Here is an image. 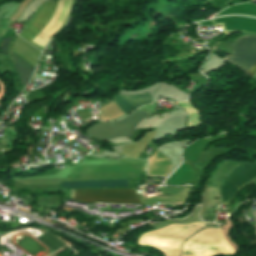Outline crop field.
I'll list each match as a JSON object with an SVG mask.
<instances>
[{
  "instance_id": "7",
  "label": "crop field",
  "mask_w": 256,
  "mask_h": 256,
  "mask_svg": "<svg viewBox=\"0 0 256 256\" xmlns=\"http://www.w3.org/2000/svg\"><path fill=\"white\" fill-rule=\"evenodd\" d=\"M61 187H128V180L64 182Z\"/></svg>"
},
{
  "instance_id": "6",
  "label": "crop field",
  "mask_w": 256,
  "mask_h": 256,
  "mask_svg": "<svg viewBox=\"0 0 256 256\" xmlns=\"http://www.w3.org/2000/svg\"><path fill=\"white\" fill-rule=\"evenodd\" d=\"M116 105L122 110L125 114L128 111L137 108L141 105H145L151 102L150 94L139 95V96H123L118 95L113 100Z\"/></svg>"
},
{
  "instance_id": "1",
  "label": "crop field",
  "mask_w": 256,
  "mask_h": 256,
  "mask_svg": "<svg viewBox=\"0 0 256 256\" xmlns=\"http://www.w3.org/2000/svg\"><path fill=\"white\" fill-rule=\"evenodd\" d=\"M147 116H148L147 114L137 110L133 114H131L130 116L124 119H121L116 122H107V123L113 126L116 130H118L124 136L131 137L133 135L135 126L139 124ZM107 123L104 122V123H98L96 125H93L89 129H87L86 132L87 134L97 139H100L102 141L115 138L118 136H123Z\"/></svg>"
},
{
  "instance_id": "2",
  "label": "crop field",
  "mask_w": 256,
  "mask_h": 256,
  "mask_svg": "<svg viewBox=\"0 0 256 256\" xmlns=\"http://www.w3.org/2000/svg\"><path fill=\"white\" fill-rule=\"evenodd\" d=\"M256 180V163L237 164L221 181L223 203H229L246 184Z\"/></svg>"
},
{
  "instance_id": "9",
  "label": "crop field",
  "mask_w": 256,
  "mask_h": 256,
  "mask_svg": "<svg viewBox=\"0 0 256 256\" xmlns=\"http://www.w3.org/2000/svg\"><path fill=\"white\" fill-rule=\"evenodd\" d=\"M10 38H5L2 40L1 45H0V49L6 54V47H7V43L10 41Z\"/></svg>"
},
{
  "instance_id": "5",
  "label": "crop field",
  "mask_w": 256,
  "mask_h": 256,
  "mask_svg": "<svg viewBox=\"0 0 256 256\" xmlns=\"http://www.w3.org/2000/svg\"><path fill=\"white\" fill-rule=\"evenodd\" d=\"M56 5L57 0L44 3V5L40 6L39 10L35 13L32 20L28 23L26 29L20 34V36L25 40L29 41L30 43H32L33 45H35L36 47H38L39 49H41L32 41L49 20Z\"/></svg>"
},
{
  "instance_id": "4",
  "label": "crop field",
  "mask_w": 256,
  "mask_h": 256,
  "mask_svg": "<svg viewBox=\"0 0 256 256\" xmlns=\"http://www.w3.org/2000/svg\"><path fill=\"white\" fill-rule=\"evenodd\" d=\"M136 196V195H135ZM131 189L124 190H75L74 200L100 203L139 204Z\"/></svg>"
},
{
  "instance_id": "8",
  "label": "crop field",
  "mask_w": 256,
  "mask_h": 256,
  "mask_svg": "<svg viewBox=\"0 0 256 256\" xmlns=\"http://www.w3.org/2000/svg\"><path fill=\"white\" fill-rule=\"evenodd\" d=\"M12 56L15 60V69L17 70L20 80L25 87L29 82L30 78L32 77L34 69L24 60L17 57L15 54L12 53Z\"/></svg>"
},
{
  "instance_id": "3",
  "label": "crop field",
  "mask_w": 256,
  "mask_h": 256,
  "mask_svg": "<svg viewBox=\"0 0 256 256\" xmlns=\"http://www.w3.org/2000/svg\"><path fill=\"white\" fill-rule=\"evenodd\" d=\"M256 58V37L244 36L234 41L233 54L224 58L245 70ZM250 78L256 74V60L244 71Z\"/></svg>"
}]
</instances>
